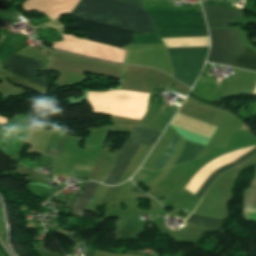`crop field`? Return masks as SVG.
I'll return each mask as SVG.
<instances>
[{
    "mask_svg": "<svg viewBox=\"0 0 256 256\" xmlns=\"http://www.w3.org/2000/svg\"><path fill=\"white\" fill-rule=\"evenodd\" d=\"M71 14L145 33H156L150 15L138 3L118 0H81ZM72 17L75 25L64 27L81 30L91 41L122 48L134 40L133 34H140L139 32Z\"/></svg>",
    "mask_w": 256,
    "mask_h": 256,
    "instance_id": "crop-field-1",
    "label": "crop field"
},
{
    "mask_svg": "<svg viewBox=\"0 0 256 256\" xmlns=\"http://www.w3.org/2000/svg\"><path fill=\"white\" fill-rule=\"evenodd\" d=\"M209 33L211 50L207 61L210 62L229 66L247 43L243 33L233 28L213 29ZM230 66L256 71V55L246 44Z\"/></svg>",
    "mask_w": 256,
    "mask_h": 256,
    "instance_id": "crop-field-2",
    "label": "crop field"
},
{
    "mask_svg": "<svg viewBox=\"0 0 256 256\" xmlns=\"http://www.w3.org/2000/svg\"><path fill=\"white\" fill-rule=\"evenodd\" d=\"M161 38L208 37L207 29L157 30ZM175 78L192 87L198 77L208 50L168 51Z\"/></svg>",
    "mask_w": 256,
    "mask_h": 256,
    "instance_id": "crop-field-3",
    "label": "crop field"
},
{
    "mask_svg": "<svg viewBox=\"0 0 256 256\" xmlns=\"http://www.w3.org/2000/svg\"><path fill=\"white\" fill-rule=\"evenodd\" d=\"M159 135L160 133L157 132H152L134 127L126 145L122 149L115 165L113 166L109 175L105 179L104 183L109 185H116L117 181L124 172L125 168L127 167L131 158L135 154L139 145L143 144L153 147Z\"/></svg>",
    "mask_w": 256,
    "mask_h": 256,
    "instance_id": "crop-field-4",
    "label": "crop field"
},
{
    "mask_svg": "<svg viewBox=\"0 0 256 256\" xmlns=\"http://www.w3.org/2000/svg\"><path fill=\"white\" fill-rule=\"evenodd\" d=\"M155 21L156 29L207 28L202 11L179 12L147 10Z\"/></svg>",
    "mask_w": 256,
    "mask_h": 256,
    "instance_id": "crop-field-5",
    "label": "crop field"
},
{
    "mask_svg": "<svg viewBox=\"0 0 256 256\" xmlns=\"http://www.w3.org/2000/svg\"><path fill=\"white\" fill-rule=\"evenodd\" d=\"M7 71L28 81L47 87L45 79H37L36 71L44 66L29 59L14 55L4 63Z\"/></svg>",
    "mask_w": 256,
    "mask_h": 256,
    "instance_id": "crop-field-6",
    "label": "crop field"
},
{
    "mask_svg": "<svg viewBox=\"0 0 256 256\" xmlns=\"http://www.w3.org/2000/svg\"><path fill=\"white\" fill-rule=\"evenodd\" d=\"M255 153H256V146L250 147L246 151H244L242 154L237 156L235 159L217 166L206 176V178L204 177L205 179L197 187L194 194L202 198V196L205 194L207 188L211 185V183L216 179V177L219 174H221L222 172H224L232 167L240 165L247 158L251 157Z\"/></svg>",
    "mask_w": 256,
    "mask_h": 256,
    "instance_id": "crop-field-7",
    "label": "crop field"
},
{
    "mask_svg": "<svg viewBox=\"0 0 256 256\" xmlns=\"http://www.w3.org/2000/svg\"><path fill=\"white\" fill-rule=\"evenodd\" d=\"M205 17L209 28L233 25V19L244 17L239 10H226L219 7L203 5Z\"/></svg>",
    "mask_w": 256,
    "mask_h": 256,
    "instance_id": "crop-field-8",
    "label": "crop field"
},
{
    "mask_svg": "<svg viewBox=\"0 0 256 256\" xmlns=\"http://www.w3.org/2000/svg\"><path fill=\"white\" fill-rule=\"evenodd\" d=\"M98 183L89 182V185H86L85 190L78 201L72 208V215L79 216L83 218L84 207L89 203L90 199L92 198Z\"/></svg>",
    "mask_w": 256,
    "mask_h": 256,
    "instance_id": "crop-field-9",
    "label": "crop field"
},
{
    "mask_svg": "<svg viewBox=\"0 0 256 256\" xmlns=\"http://www.w3.org/2000/svg\"><path fill=\"white\" fill-rule=\"evenodd\" d=\"M204 148V146L186 141L184 151L175 165L193 160Z\"/></svg>",
    "mask_w": 256,
    "mask_h": 256,
    "instance_id": "crop-field-10",
    "label": "crop field"
},
{
    "mask_svg": "<svg viewBox=\"0 0 256 256\" xmlns=\"http://www.w3.org/2000/svg\"><path fill=\"white\" fill-rule=\"evenodd\" d=\"M242 209L256 210V172L250 186L244 192Z\"/></svg>",
    "mask_w": 256,
    "mask_h": 256,
    "instance_id": "crop-field-11",
    "label": "crop field"
},
{
    "mask_svg": "<svg viewBox=\"0 0 256 256\" xmlns=\"http://www.w3.org/2000/svg\"><path fill=\"white\" fill-rule=\"evenodd\" d=\"M179 136H180V134H178L176 132V134L173 137L172 141L168 145L167 149L165 150V152L163 153V155L161 156V158L159 159V161L157 162V164L155 165L153 170L161 169V168L164 167V165L167 162L168 158L173 153V151L175 150V148H176V146L178 144Z\"/></svg>",
    "mask_w": 256,
    "mask_h": 256,
    "instance_id": "crop-field-12",
    "label": "crop field"
},
{
    "mask_svg": "<svg viewBox=\"0 0 256 256\" xmlns=\"http://www.w3.org/2000/svg\"><path fill=\"white\" fill-rule=\"evenodd\" d=\"M186 221L191 222V223H195V224H199L201 226L220 229V224L219 223H213V222L202 221V220L191 219V218H188Z\"/></svg>",
    "mask_w": 256,
    "mask_h": 256,
    "instance_id": "crop-field-13",
    "label": "crop field"
},
{
    "mask_svg": "<svg viewBox=\"0 0 256 256\" xmlns=\"http://www.w3.org/2000/svg\"><path fill=\"white\" fill-rule=\"evenodd\" d=\"M122 1H130V2H143L144 0H122Z\"/></svg>",
    "mask_w": 256,
    "mask_h": 256,
    "instance_id": "crop-field-14",
    "label": "crop field"
},
{
    "mask_svg": "<svg viewBox=\"0 0 256 256\" xmlns=\"http://www.w3.org/2000/svg\"><path fill=\"white\" fill-rule=\"evenodd\" d=\"M4 26H6V25L0 21V28H2Z\"/></svg>",
    "mask_w": 256,
    "mask_h": 256,
    "instance_id": "crop-field-15",
    "label": "crop field"
}]
</instances>
